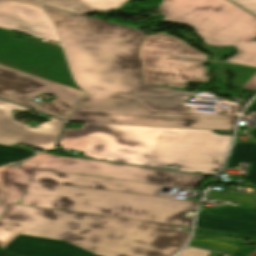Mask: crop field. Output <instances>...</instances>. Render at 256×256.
Masks as SVG:
<instances>
[{"label":"crop field","mask_w":256,"mask_h":256,"mask_svg":"<svg viewBox=\"0 0 256 256\" xmlns=\"http://www.w3.org/2000/svg\"><path fill=\"white\" fill-rule=\"evenodd\" d=\"M243 88L256 89V74L243 86Z\"/></svg>","instance_id":"ae1a2a85"},{"label":"crop field","mask_w":256,"mask_h":256,"mask_svg":"<svg viewBox=\"0 0 256 256\" xmlns=\"http://www.w3.org/2000/svg\"><path fill=\"white\" fill-rule=\"evenodd\" d=\"M30 156H32V154L27 149L0 144V166L6 163L22 160Z\"/></svg>","instance_id":"92a150f3"},{"label":"crop field","mask_w":256,"mask_h":256,"mask_svg":"<svg viewBox=\"0 0 256 256\" xmlns=\"http://www.w3.org/2000/svg\"><path fill=\"white\" fill-rule=\"evenodd\" d=\"M75 112L187 119H202L204 117L229 119L238 118V116L230 115L155 112L148 109L140 101L126 96L99 95H90L83 99L79 103Z\"/></svg>","instance_id":"d1516ede"},{"label":"crop field","mask_w":256,"mask_h":256,"mask_svg":"<svg viewBox=\"0 0 256 256\" xmlns=\"http://www.w3.org/2000/svg\"><path fill=\"white\" fill-rule=\"evenodd\" d=\"M239 162L252 163L247 179L256 185V144L235 142L225 168H235Z\"/></svg>","instance_id":"bc2a9ffb"},{"label":"crop field","mask_w":256,"mask_h":256,"mask_svg":"<svg viewBox=\"0 0 256 256\" xmlns=\"http://www.w3.org/2000/svg\"><path fill=\"white\" fill-rule=\"evenodd\" d=\"M163 21L190 24L208 45H233L235 57L225 61L256 66V17L227 0H163Z\"/></svg>","instance_id":"f4fd0767"},{"label":"crop field","mask_w":256,"mask_h":256,"mask_svg":"<svg viewBox=\"0 0 256 256\" xmlns=\"http://www.w3.org/2000/svg\"><path fill=\"white\" fill-rule=\"evenodd\" d=\"M35 169L194 189L202 176L39 154L18 168H0V183L26 190Z\"/></svg>","instance_id":"dd49c442"},{"label":"crop field","mask_w":256,"mask_h":256,"mask_svg":"<svg viewBox=\"0 0 256 256\" xmlns=\"http://www.w3.org/2000/svg\"><path fill=\"white\" fill-rule=\"evenodd\" d=\"M22 205L191 227L195 201L31 182Z\"/></svg>","instance_id":"412701ff"},{"label":"crop field","mask_w":256,"mask_h":256,"mask_svg":"<svg viewBox=\"0 0 256 256\" xmlns=\"http://www.w3.org/2000/svg\"><path fill=\"white\" fill-rule=\"evenodd\" d=\"M210 251L187 246L185 250L178 256H208Z\"/></svg>","instance_id":"4177f3b9"},{"label":"crop field","mask_w":256,"mask_h":256,"mask_svg":"<svg viewBox=\"0 0 256 256\" xmlns=\"http://www.w3.org/2000/svg\"><path fill=\"white\" fill-rule=\"evenodd\" d=\"M171 226L10 204L0 216V247L23 233L65 240L98 256H173L189 232Z\"/></svg>","instance_id":"ac0d7876"},{"label":"crop field","mask_w":256,"mask_h":256,"mask_svg":"<svg viewBox=\"0 0 256 256\" xmlns=\"http://www.w3.org/2000/svg\"><path fill=\"white\" fill-rule=\"evenodd\" d=\"M70 121L196 129L234 130L237 120L213 118H205L202 120H187L74 113Z\"/></svg>","instance_id":"22f410ed"},{"label":"crop field","mask_w":256,"mask_h":256,"mask_svg":"<svg viewBox=\"0 0 256 256\" xmlns=\"http://www.w3.org/2000/svg\"><path fill=\"white\" fill-rule=\"evenodd\" d=\"M223 192L210 190L206 198L210 199H220L238 202H248L256 204V196L253 195H243L227 192L226 195H222Z\"/></svg>","instance_id":"00972430"},{"label":"crop field","mask_w":256,"mask_h":256,"mask_svg":"<svg viewBox=\"0 0 256 256\" xmlns=\"http://www.w3.org/2000/svg\"><path fill=\"white\" fill-rule=\"evenodd\" d=\"M0 256H96L65 241L19 234Z\"/></svg>","instance_id":"d9b57169"},{"label":"crop field","mask_w":256,"mask_h":256,"mask_svg":"<svg viewBox=\"0 0 256 256\" xmlns=\"http://www.w3.org/2000/svg\"><path fill=\"white\" fill-rule=\"evenodd\" d=\"M226 69L234 72L236 78L232 79L233 87H242L255 73L256 68L221 63Z\"/></svg>","instance_id":"dafd665d"},{"label":"crop field","mask_w":256,"mask_h":256,"mask_svg":"<svg viewBox=\"0 0 256 256\" xmlns=\"http://www.w3.org/2000/svg\"><path fill=\"white\" fill-rule=\"evenodd\" d=\"M143 63V83L163 87H186V80H208L200 64L206 55L165 33L147 35L138 51Z\"/></svg>","instance_id":"e52e79f7"},{"label":"crop field","mask_w":256,"mask_h":256,"mask_svg":"<svg viewBox=\"0 0 256 256\" xmlns=\"http://www.w3.org/2000/svg\"><path fill=\"white\" fill-rule=\"evenodd\" d=\"M233 136L212 130L84 123L67 128L59 145L64 149L111 161L162 168L179 164L180 171L217 174Z\"/></svg>","instance_id":"34b2d1b8"},{"label":"crop field","mask_w":256,"mask_h":256,"mask_svg":"<svg viewBox=\"0 0 256 256\" xmlns=\"http://www.w3.org/2000/svg\"><path fill=\"white\" fill-rule=\"evenodd\" d=\"M189 245L208 248L239 256H247V254L251 250L256 248L253 246L242 244L241 240L218 235L208 238L194 236L193 240H191Z\"/></svg>","instance_id":"4a817a6b"},{"label":"crop field","mask_w":256,"mask_h":256,"mask_svg":"<svg viewBox=\"0 0 256 256\" xmlns=\"http://www.w3.org/2000/svg\"><path fill=\"white\" fill-rule=\"evenodd\" d=\"M256 15V0H230Z\"/></svg>","instance_id":"730fd06b"},{"label":"crop field","mask_w":256,"mask_h":256,"mask_svg":"<svg viewBox=\"0 0 256 256\" xmlns=\"http://www.w3.org/2000/svg\"><path fill=\"white\" fill-rule=\"evenodd\" d=\"M31 181L154 195L159 186L36 170Z\"/></svg>","instance_id":"5142ce71"},{"label":"crop field","mask_w":256,"mask_h":256,"mask_svg":"<svg viewBox=\"0 0 256 256\" xmlns=\"http://www.w3.org/2000/svg\"><path fill=\"white\" fill-rule=\"evenodd\" d=\"M57 96L52 103L41 102L37 110L61 119H69L77 101L86 93L55 82L0 65V97L34 108L29 101L41 94Z\"/></svg>","instance_id":"5a996713"},{"label":"crop field","mask_w":256,"mask_h":256,"mask_svg":"<svg viewBox=\"0 0 256 256\" xmlns=\"http://www.w3.org/2000/svg\"><path fill=\"white\" fill-rule=\"evenodd\" d=\"M0 64L77 88L59 46L34 38H11L0 29Z\"/></svg>","instance_id":"d8731c3e"},{"label":"crop field","mask_w":256,"mask_h":256,"mask_svg":"<svg viewBox=\"0 0 256 256\" xmlns=\"http://www.w3.org/2000/svg\"><path fill=\"white\" fill-rule=\"evenodd\" d=\"M195 235L207 237L215 234H221V235H226V236H232V237H238L242 238L243 242H245V238L250 239L249 242H256V236H251V235H243V234H235V233H228V232H221V231H213V230H206V229H199L195 228Z\"/></svg>","instance_id":"a9b5d70f"},{"label":"crop field","mask_w":256,"mask_h":256,"mask_svg":"<svg viewBox=\"0 0 256 256\" xmlns=\"http://www.w3.org/2000/svg\"><path fill=\"white\" fill-rule=\"evenodd\" d=\"M12 109L26 110L9 102L0 100V143L13 145L17 142L39 149H54L64 125L62 121L50 118V121L36 128L14 120Z\"/></svg>","instance_id":"3316defc"},{"label":"crop field","mask_w":256,"mask_h":256,"mask_svg":"<svg viewBox=\"0 0 256 256\" xmlns=\"http://www.w3.org/2000/svg\"><path fill=\"white\" fill-rule=\"evenodd\" d=\"M256 112V101L249 107L246 113ZM243 134H249L246 141L256 142V128H250L249 131L244 130Z\"/></svg>","instance_id":"eef30255"},{"label":"crop field","mask_w":256,"mask_h":256,"mask_svg":"<svg viewBox=\"0 0 256 256\" xmlns=\"http://www.w3.org/2000/svg\"><path fill=\"white\" fill-rule=\"evenodd\" d=\"M54 20L77 83L95 94H126L154 110L188 112V92L142 84L138 29L42 6Z\"/></svg>","instance_id":"8a807250"},{"label":"crop field","mask_w":256,"mask_h":256,"mask_svg":"<svg viewBox=\"0 0 256 256\" xmlns=\"http://www.w3.org/2000/svg\"><path fill=\"white\" fill-rule=\"evenodd\" d=\"M42 11L37 4L25 0H0V28L59 42L50 19Z\"/></svg>","instance_id":"28ad6ade"},{"label":"crop field","mask_w":256,"mask_h":256,"mask_svg":"<svg viewBox=\"0 0 256 256\" xmlns=\"http://www.w3.org/2000/svg\"><path fill=\"white\" fill-rule=\"evenodd\" d=\"M45 6L85 14L97 10L108 11L120 8L128 0H31Z\"/></svg>","instance_id":"733c2abd"},{"label":"crop field","mask_w":256,"mask_h":256,"mask_svg":"<svg viewBox=\"0 0 256 256\" xmlns=\"http://www.w3.org/2000/svg\"><path fill=\"white\" fill-rule=\"evenodd\" d=\"M196 227L256 235V209L221 206L200 209Z\"/></svg>","instance_id":"cbeb9de0"},{"label":"crop field","mask_w":256,"mask_h":256,"mask_svg":"<svg viewBox=\"0 0 256 256\" xmlns=\"http://www.w3.org/2000/svg\"><path fill=\"white\" fill-rule=\"evenodd\" d=\"M24 191L0 184V215L10 203L19 204Z\"/></svg>","instance_id":"214f88e0"}]
</instances>
